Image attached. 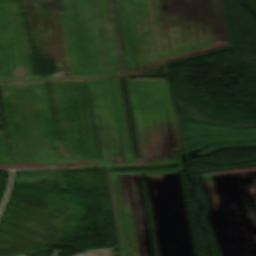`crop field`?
<instances>
[{
	"label": "crop field",
	"instance_id": "obj_2",
	"mask_svg": "<svg viewBox=\"0 0 256 256\" xmlns=\"http://www.w3.org/2000/svg\"><path fill=\"white\" fill-rule=\"evenodd\" d=\"M133 163V162H132Z\"/></svg>",
	"mask_w": 256,
	"mask_h": 256
},
{
	"label": "crop field",
	"instance_id": "obj_1",
	"mask_svg": "<svg viewBox=\"0 0 256 256\" xmlns=\"http://www.w3.org/2000/svg\"><path fill=\"white\" fill-rule=\"evenodd\" d=\"M15 0H0V2H13ZM25 2H42L54 0H20ZM100 166L99 163H68V164H5L0 169H23V168H55V167H86Z\"/></svg>",
	"mask_w": 256,
	"mask_h": 256
}]
</instances>
